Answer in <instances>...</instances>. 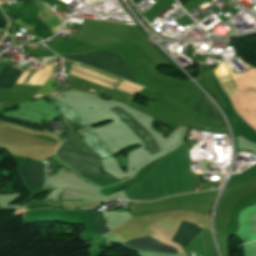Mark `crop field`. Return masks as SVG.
I'll list each match as a JSON object with an SVG mask.
<instances>
[{"label":"crop field","instance_id":"obj_9","mask_svg":"<svg viewBox=\"0 0 256 256\" xmlns=\"http://www.w3.org/2000/svg\"><path fill=\"white\" fill-rule=\"evenodd\" d=\"M41 12L39 19L54 34L59 29L63 21L45 4L35 3Z\"/></svg>","mask_w":256,"mask_h":256},{"label":"crop field","instance_id":"obj_3","mask_svg":"<svg viewBox=\"0 0 256 256\" xmlns=\"http://www.w3.org/2000/svg\"><path fill=\"white\" fill-rule=\"evenodd\" d=\"M69 74L111 89L115 88L132 95L140 92L143 89V87L126 81L118 80L116 78L73 63L71 65Z\"/></svg>","mask_w":256,"mask_h":256},{"label":"crop field","instance_id":"obj_5","mask_svg":"<svg viewBox=\"0 0 256 256\" xmlns=\"http://www.w3.org/2000/svg\"><path fill=\"white\" fill-rule=\"evenodd\" d=\"M138 250L176 253V250L149 237L132 239L125 243Z\"/></svg>","mask_w":256,"mask_h":256},{"label":"crop field","instance_id":"obj_10","mask_svg":"<svg viewBox=\"0 0 256 256\" xmlns=\"http://www.w3.org/2000/svg\"><path fill=\"white\" fill-rule=\"evenodd\" d=\"M52 67L53 66H41L37 70L35 69L32 72L29 79L27 80L26 85L42 86V84L50 75ZM29 74L30 72L24 71L16 83L23 84V82L25 81V79L28 77ZM32 82L34 84H31Z\"/></svg>","mask_w":256,"mask_h":256},{"label":"crop field","instance_id":"obj_7","mask_svg":"<svg viewBox=\"0 0 256 256\" xmlns=\"http://www.w3.org/2000/svg\"><path fill=\"white\" fill-rule=\"evenodd\" d=\"M80 134L85 140L87 146L99 156L100 160L111 158L113 156L90 129L80 131Z\"/></svg>","mask_w":256,"mask_h":256},{"label":"crop field","instance_id":"obj_13","mask_svg":"<svg viewBox=\"0 0 256 256\" xmlns=\"http://www.w3.org/2000/svg\"><path fill=\"white\" fill-rule=\"evenodd\" d=\"M15 67V66H14ZM12 67L5 63L2 70L0 71V88L12 89L14 83L21 75L22 71Z\"/></svg>","mask_w":256,"mask_h":256},{"label":"crop field","instance_id":"obj_11","mask_svg":"<svg viewBox=\"0 0 256 256\" xmlns=\"http://www.w3.org/2000/svg\"><path fill=\"white\" fill-rule=\"evenodd\" d=\"M23 178L25 179L29 189L43 183L40 168L35 164H28L19 168Z\"/></svg>","mask_w":256,"mask_h":256},{"label":"crop field","instance_id":"obj_6","mask_svg":"<svg viewBox=\"0 0 256 256\" xmlns=\"http://www.w3.org/2000/svg\"><path fill=\"white\" fill-rule=\"evenodd\" d=\"M191 110L203 114L207 119L217 123H224L215 105L206 96L201 97L191 108Z\"/></svg>","mask_w":256,"mask_h":256},{"label":"crop field","instance_id":"obj_2","mask_svg":"<svg viewBox=\"0 0 256 256\" xmlns=\"http://www.w3.org/2000/svg\"><path fill=\"white\" fill-rule=\"evenodd\" d=\"M75 61L136 82L125 60L114 52L91 51L81 55L65 56Z\"/></svg>","mask_w":256,"mask_h":256},{"label":"crop field","instance_id":"obj_15","mask_svg":"<svg viewBox=\"0 0 256 256\" xmlns=\"http://www.w3.org/2000/svg\"><path fill=\"white\" fill-rule=\"evenodd\" d=\"M250 231L253 233H256V213H254L253 215H251V227H250Z\"/></svg>","mask_w":256,"mask_h":256},{"label":"crop field","instance_id":"obj_12","mask_svg":"<svg viewBox=\"0 0 256 256\" xmlns=\"http://www.w3.org/2000/svg\"><path fill=\"white\" fill-rule=\"evenodd\" d=\"M58 107L60 113L63 115V117L69 121L73 126L76 128L80 127H87L89 124L86 122V120L81 117L77 112H75L72 108L66 106L65 104L57 101L52 100Z\"/></svg>","mask_w":256,"mask_h":256},{"label":"crop field","instance_id":"obj_8","mask_svg":"<svg viewBox=\"0 0 256 256\" xmlns=\"http://www.w3.org/2000/svg\"><path fill=\"white\" fill-rule=\"evenodd\" d=\"M202 230V227L182 221L176 234L174 235L172 242L178 243L182 248Z\"/></svg>","mask_w":256,"mask_h":256},{"label":"crop field","instance_id":"obj_14","mask_svg":"<svg viewBox=\"0 0 256 256\" xmlns=\"http://www.w3.org/2000/svg\"><path fill=\"white\" fill-rule=\"evenodd\" d=\"M88 213L95 225V228L99 235H103L107 231H109L103 224L100 213L97 208L88 210Z\"/></svg>","mask_w":256,"mask_h":256},{"label":"crop field","instance_id":"obj_1","mask_svg":"<svg viewBox=\"0 0 256 256\" xmlns=\"http://www.w3.org/2000/svg\"><path fill=\"white\" fill-rule=\"evenodd\" d=\"M55 158L82 177L99 185L108 186L119 182L113 177L100 173L102 165L98 157L75 133L69 130Z\"/></svg>","mask_w":256,"mask_h":256},{"label":"crop field","instance_id":"obj_18","mask_svg":"<svg viewBox=\"0 0 256 256\" xmlns=\"http://www.w3.org/2000/svg\"><path fill=\"white\" fill-rule=\"evenodd\" d=\"M5 24V22L3 21V19L0 17V27H3Z\"/></svg>","mask_w":256,"mask_h":256},{"label":"crop field","instance_id":"obj_17","mask_svg":"<svg viewBox=\"0 0 256 256\" xmlns=\"http://www.w3.org/2000/svg\"><path fill=\"white\" fill-rule=\"evenodd\" d=\"M178 1L180 2L181 6H182V5H184L186 2H188L189 0H178Z\"/></svg>","mask_w":256,"mask_h":256},{"label":"crop field","instance_id":"obj_4","mask_svg":"<svg viewBox=\"0 0 256 256\" xmlns=\"http://www.w3.org/2000/svg\"><path fill=\"white\" fill-rule=\"evenodd\" d=\"M112 111L118 114L139 135L146 150L149 152L151 156L161 151H159L155 142L135 119H133L131 116H129L127 113H125L118 107L112 109Z\"/></svg>","mask_w":256,"mask_h":256},{"label":"crop field","instance_id":"obj_16","mask_svg":"<svg viewBox=\"0 0 256 256\" xmlns=\"http://www.w3.org/2000/svg\"><path fill=\"white\" fill-rule=\"evenodd\" d=\"M15 22L18 23V24H20V25H22V26H24V27H26V28L33 29V26H30V25H28V24H25V23H23V22H21V21H19V20L15 21Z\"/></svg>","mask_w":256,"mask_h":256}]
</instances>
